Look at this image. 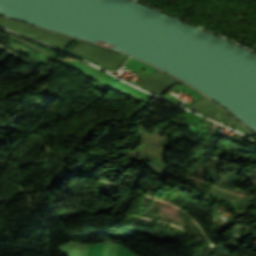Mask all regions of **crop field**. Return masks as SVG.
I'll return each instance as SVG.
<instances>
[{"label": "crop field", "instance_id": "obj_1", "mask_svg": "<svg viewBox=\"0 0 256 256\" xmlns=\"http://www.w3.org/2000/svg\"><path fill=\"white\" fill-rule=\"evenodd\" d=\"M69 52L93 61L107 69L117 71L128 58L125 55L113 52L100 46L92 45L79 40Z\"/></svg>", "mask_w": 256, "mask_h": 256}, {"label": "crop field", "instance_id": "obj_2", "mask_svg": "<svg viewBox=\"0 0 256 256\" xmlns=\"http://www.w3.org/2000/svg\"><path fill=\"white\" fill-rule=\"evenodd\" d=\"M0 24L9 27L13 30H18L28 35L38 37L40 39L46 40L60 47H64L71 37H67L61 34H57L51 31L39 29L27 24L19 23L13 20L5 19L0 17Z\"/></svg>", "mask_w": 256, "mask_h": 256}, {"label": "crop field", "instance_id": "obj_3", "mask_svg": "<svg viewBox=\"0 0 256 256\" xmlns=\"http://www.w3.org/2000/svg\"><path fill=\"white\" fill-rule=\"evenodd\" d=\"M186 107L197 112L203 113L205 115H208L222 123L231 125L249 135H253V133H251L249 130H247L237 121H235L236 119L234 120L233 117H229L228 115H226L225 111H223L221 108H219L217 105L209 101L204 96L198 99L195 103L186 105Z\"/></svg>", "mask_w": 256, "mask_h": 256}, {"label": "crop field", "instance_id": "obj_4", "mask_svg": "<svg viewBox=\"0 0 256 256\" xmlns=\"http://www.w3.org/2000/svg\"><path fill=\"white\" fill-rule=\"evenodd\" d=\"M177 80L171 78L170 76L156 70L150 76H148L145 80H143L139 85L143 88L154 92L156 94H160L168 87L173 85Z\"/></svg>", "mask_w": 256, "mask_h": 256}]
</instances>
